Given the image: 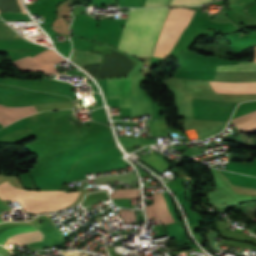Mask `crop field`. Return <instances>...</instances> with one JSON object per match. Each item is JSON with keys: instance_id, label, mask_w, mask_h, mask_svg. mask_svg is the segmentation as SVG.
I'll return each instance as SVG.
<instances>
[{"instance_id": "obj_9", "label": "crop field", "mask_w": 256, "mask_h": 256, "mask_svg": "<svg viewBox=\"0 0 256 256\" xmlns=\"http://www.w3.org/2000/svg\"><path fill=\"white\" fill-rule=\"evenodd\" d=\"M101 58L102 55L77 48H73L70 56V60L78 64L80 67L89 64L101 63Z\"/></svg>"}, {"instance_id": "obj_2", "label": "crop field", "mask_w": 256, "mask_h": 256, "mask_svg": "<svg viewBox=\"0 0 256 256\" xmlns=\"http://www.w3.org/2000/svg\"><path fill=\"white\" fill-rule=\"evenodd\" d=\"M193 13V10L184 8L170 9L153 56L165 58L168 55Z\"/></svg>"}, {"instance_id": "obj_18", "label": "crop field", "mask_w": 256, "mask_h": 256, "mask_svg": "<svg viewBox=\"0 0 256 256\" xmlns=\"http://www.w3.org/2000/svg\"><path fill=\"white\" fill-rule=\"evenodd\" d=\"M119 215L124 219V223L136 222V217L133 211L130 210H120Z\"/></svg>"}, {"instance_id": "obj_17", "label": "crop field", "mask_w": 256, "mask_h": 256, "mask_svg": "<svg viewBox=\"0 0 256 256\" xmlns=\"http://www.w3.org/2000/svg\"><path fill=\"white\" fill-rule=\"evenodd\" d=\"M209 1L211 0H172L169 6H195Z\"/></svg>"}, {"instance_id": "obj_8", "label": "crop field", "mask_w": 256, "mask_h": 256, "mask_svg": "<svg viewBox=\"0 0 256 256\" xmlns=\"http://www.w3.org/2000/svg\"><path fill=\"white\" fill-rule=\"evenodd\" d=\"M219 93H256V83H220L210 82Z\"/></svg>"}, {"instance_id": "obj_10", "label": "crop field", "mask_w": 256, "mask_h": 256, "mask_svg": "<svg viewBox=\"0 0 256 256\" xmlns=\"http://www.w3.org/2000/svg\"><path fill=\"white\" fill-rule=\"evenodd\" d=\"M239 129L246 134L256 133V110L246 115L231 120Z\"/></svg>"}, {"instance_id": "obj_14", "label": "crop field", "mask_w": 256, "mask_h": 256, "mask_svg": "<svg viewBox=\"0 0 256 256\" xmlns=\"http://www.w3.org/2000/svg\"><path fill=\"white\" fill-rule=\"evenodd\" d=\"M112 198H138L140 197L139 190L137 189H120L114 190L111 194Z\"/></svg>"}, {"instance_id": "obj_11", "label": "crop field", "mask_w": 256, "mask_h": 256, "mask_svg": "<svg viewBox=\"0 0 256 256\" xmlns=\"http://www.w3.org/2000/svg\"><path fill=\"white\" fill-rule=\"evenodd\" d=\"M15 48H27L34 51H42L46 49L45 47L29 44L25 40H7L0 41V50L1 49H15Z\"/></svg>"}, {"instance_id": "obj_1", "label": "crop field", "mask_w": 256, "mask_h": 256, "mask_svg": "<svg viewBox=\"0 0 256 256\" xmlns=\"http://www.w3.org/2000/svg\"><path fill=\"white\" fill-rule=\"evenodd\" d=\"M168 8L133 9L124 21L119 49L134 56H151Z\"/></svg>"}, {"instance_id": "obj_6", "label": "crop field", "mask_w": 256, "mask_h": 256, "mask_svg": "<svg viewBox=\"0 0 256 256\" xmlns=\"http://www.w3.org/2000/svg\"><path fill=\"white\" fill-rule=\"evenodd\" d=\"M147 217H159V220L162 224L166 225L175 220L169 214L166 204L164 201L163 194H154L153 195V205L145 207Z\"/></svg>"}, {"instance_id": "obj_7", "label": "crop field", "mask_w": 256, "mask_h": 256, "mask_svg": "<svg viewBox=\"0 0 256 256\" xmlns=\"http://www.w3.org/2000/svg\"><path fill=\"white\" fill-rule=\"evenodd\" d=\"M33 113H36L34 106L5 107L0 105V124L5 126Z\"/></svg>"}, {"instance_id": "obj_20", "label": "crop field", "mask_w": 256, "mask_h": 256, "mask_svg": "<svg viewBox=\"0 0 256 256\" xmlns=\"http://www.w3.org/2000/svg\"><path fill=\"white\" fill-rule=\"evenodd\" d=\"M169 0H147L144 7L166 6Z\"/></svg>"}, {"instance_id": "obj_5", "label": "crop field", "mask_w": 256, "mask_h": 256, "mask_svg": "<svg viewBox=\"0 0 256 256\" xmlns=\"http://www.w3.org/2000/svg\"><path fill=\"white\" fill-rule=\"evenodd\" d=\"M108 98H119L120 107H131L130 78L107 79Z\"/></svg>"}, {"instance_id": "obj_16", "label": "crop field", "mask_w": 256, "mask_h": 256, "mask_svg": "<svg viewBox=\"0 0 256 256\" xmlns=\"http://www.w3.org/2000/svg\"><path fill=\"white\" fill-rule=\"evenodd\" d=\"M94 180L95 182L111 181V180H121V181L127 182V181L137 180V177L134 173H131V174H126L121 176H108V177L96 178Z\"/></svg>"}, {"instance_id": "obj_4", "label": "crop field", "mask_w": 256, "mask_h": 256, "mask_svg": "<svg viewBox=\"0 0 256 256\" xmlns=\"http://www.w3.org/2000/svg\"><path fill=\"white\" fill-rule=\"evenodd\" d=\"M64 61L55 51L45 50L34 57H26L16 62L14 66L20 71H37L44 73L59 74L54 68L55 63Z\"/></svg>"}, {"instance_id": "obj_15", "label": "crop field", "mask_w": 256, "mask_h": 256, "mask_svg": "<svg viewBox=\"0 0 256 256\" xmlns=\"http://www.w3.org/2000/svg\"><path fill=\"white\" fill-rule=\"evenodd\" d=\"M21 38L10 26L7 24H0V39Z\"/></svg>"}, {"instance_id": "obj_21", "label": "crop field", "mask_w": 256, "mask_h": 256, "mask_svg": "<svg viewBox=\"0 0 256 256\" xmlns=\"http://www.w3.org/2000/svg\"><path fill=\"white\" fill-rule=\"evenodd\" d=\"M100 65L101 64L90 65V66L82 67V69H84L89 75L95 78Z\"/></svg>"}, {"instance_id": "obj_12", "label": "crop field", "mask_w": 256, "mask_h": 256, "mask_svg": "<svg viewBox=\"0 0 256 256\" xmlns=\"http://www.w3.org/2000/svg\"><path fill=\"white\" fill-rule=\"evenodd\" d=\"M38 230L34 226H19V227H12L5 231H3L0 234V244H4V242L12 235L20 232H26V231H35Z\"/></svg>"}, {"instance_id": "obj_22", "label": "crop field", "mask_w": 256, "mask_h": 256, "mask_svg": "<svg viewBox=\"0 0 256 256\" xmlns=\"http://www.w3.org/2000/svg\"><path fill=\"white\" fill-rule=\"evenodd\" d=\"M0 222H2V221H0Z\"/></svg>"}, {"instance_id": "obj_13", "label": "crop field", "mask_w": 256, "mask_h": 256, "mask_svg": "<svg viewBox=\"0 0 256 256\" xmlns=\"http://www.w3.org/2000/svg\"><path fill=\"white\" fill-rule=\"evenodd\" d=\"M216 70H256V51L254 62H239V65L217 66Z\"/></svg>"}, {"instance_id": "obj_19", "label": "crop field", "mask_w": 256, "mask_h": 256, "mask_svg": "<svg viewBox=\"0 0 256 256\" xmlns=\"http://www.w3.org/2000/svg\"><path fill=\"white\" fill-rule=\"evenodd\" d=\"M5 20L31 21L28 15L24 14H0Z\"/></svg>"}, {"instance_id": "obj_3", "label": "crop field", "mask_w": 256, "mask_h": 256, "mask_svg": "<svg viewBox=\"0 0 256 256\" xmlns=\"http://www.w3.org/2000/svg\"><path fill=\"white\" fill-rule=\"evenodd\" d=\"M91 51L104 55L102 59L103 65L99 71L97 78L123 77L129 72V70L133 66L138 64L130 58L112 49L99 45H95V47L92 48Z\"/></svg>"}]
</instances>
